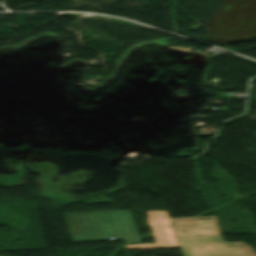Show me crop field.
<instances>
[{"instance_id": "obj_1", "label": "crop field", "mask_w": 256, "mask_h": 256, "mask_svg": "<svg viewBox=\"0 0 256 256\" xmlns=\"http://www.w3.org/2000/svg\"><path fill=\"white\" fill-rule=\"evenodd\" d=\"M171 219L184 256H256L254 248L243 242L222 240L215 216Z\"/></svg>"}, {"instance_id": "obj_2", "label": "crop field", "mask_w": 256, "mask_h": 256, "mask_svg": "<svg viewBox=\"0 0 256 256\" xmlns=\"http://www.w3.org/2000/svg\"><path fill=\"white\" fill-rule=\"evenodd\" d=\"M73 242H141L130 211H98L65 214Z\"/></svg>"}, {"instance_id": "obj_3", "label": "crop field", "mask_w": 256, "mask_h": 256, "mask_svg": "<svg viewBox=\"0 0 256 256\" xmlns=\"http://www.w3.org/2000/svg\"><path fill=\"white\" fill-rule=\"evenodd\" d=\"M156 244L126 245L127 249L179 247L167 211H146Z\"/></svg>"}]
</instances>
